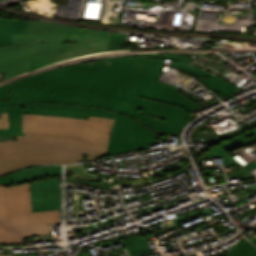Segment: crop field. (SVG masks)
<instances>
[{
	"label": "crop field",
	"mask_w": 256,
	"mask_h": 256,
	"mask_svg": "<svg viewBox=\"0 0 256 256\" xmlns=\"http://www.w3.org/2000/svg\"><path fill=\"white\" fill-rule=\"evenodd\" d=\"M13 82L0 87V100H7L8 99V95L10 93Z\"/></svg>",
	"instance_id": "crop-field-15"
},
{
	"label": "crop field",
	"mask_w": 256,
	"mask_h": 256,
	"mask_svg": "<svg viewBox=\"0 0 256 256\" xmlns=\"http://www.w3.org/2000/svg\"><path fill=\"white\" fill-rule=\"evenodd\" d=\"M33 212L59 209V177L31 181Z\"/></svg>",
	"instance_id": "crop-field-7"
},
{
	"label": "crop field",
	"mask_w": 256,
	"mask_h": 256,
	"mask_svg": "<svg viewBox=\"0 0 256 256\" xmlns=\"http://www.w3.org/2000/svg\"><path fill=\"white\" fill-rule=\"evenodd\" d=\"M29 22L0 19V45L12 44V34H23Z\"/></svg>",
	"instance_id": "crop-field-9"
},
{
	"label": "crop field",
	"mask_w": 256,
	"mask_h": 256,
	"mask_svg": "<svg viewBox=\"0 0 256 256\" xmlns=\"http://www.w3.org/2000/svg\"><path fill=\"white\" fill-rule=\"evenodd\" d=\"M124 35L125 34L113 32L108 50H120L122 47Z\"/></svg>",
	"instance_id": "crop-field-14"
},
{
	"label": "crop field",
	"mask_w": 256,
	"mask_h": 256,
	"mask_svg": "<svg viewBox=\"0 0 256 256\" xmlns=\"http://www.w3.org/2000/svg\"><path fill=\"white\" fill-rule=\"evenodd\" d=\"M112 32L71 27L63 51L32 55L30 71L71 57L107 51Z\"/></svg>",
	"instance_id": "crop-field-5"
},
{
	"label": "crop field",
	"mask_w": 256,
	"mask_h": 256,
	"mask_svg": "<svg viewBox=\"0 0 256 256\" xmlns=\"http://www.w3.org/2000/svg\"><path fill=\"white\" fill-rule=\"evenodd\" d=\"M159 55L101 59L16 80L8 101H0V116L8 112L10 121L0 136L25 135L21 113L110 117L107 154L149 148L155 131L179 132L202 106L158 81L164 62Z\"/></svg>",
	"instance_id": "crop-field-1"
},
{
	"label": "crop field",
	"mask_w": 256,
	"mask_h": 256,
	"mask_svg": "<svg viewBox=\"0 0 256 256\" xmlns=\"http://www.w3.org/2000/svg\"><path fill=\"white\" fill-rule=\"evenodd\" d=\"M113 120L22 114L17 141L0 142V174L23 165L71 163L106 155Z\"/></svg>",
	"instance_id": "crop-field-2"
},
{
	"label": "crop field",
	"mask_w": 256,
	"mask_h": 256,
	"mask_svg": "<svg viewBox=\"0 0 256 256\" xmlns=\"http://www.w3.org/2000/svg\"><path fill=\"white\" fill-rule=\"evenodd\" d=\"M81 254H82V256H88L87 252H83Z\"/></svg>",
	"instance_id": "crop-field-19"
},
{
	"label": "crop field",
	"mask_w": 256,
	"mask_h": 256,
	"mask_svg": "<svg viewBox=\"0 0 256 256\" xmlns=\"http://www.w3.org/2000/svg\"><path fill=\"white\" fill-rule=\"evenodd\" d=\"M251 242H253V243L256 245V239H255V240H253V241H251Z\"/></svg>",
	"instance_id": "crop-field-20"
},
{
	"label": "crop field",
	"mask_w": 256,
	"mask_h": 256,
	"mask_svg": "<svg viewBox=\"0 0 256 256\" xmlns=\"http://www.w3.org/2000/svg\"><path fill=\"white\" fill-rule=\"evenodd\" d=\"M71 26L31 21L24 35H13V45L0 46V73L5 77L25 73L34 53L62 50Z\"/></svg>",
	"instance_id": "crop-field-4"
},
{
	"label": "crop field",
	"mask_w": 256,
	"mask_h": 256,
	"mask_svg": "<svg viewBox=\"0 0 256 256\" xmlns=\"http://www.w3.org/2000/svg\"><path fill=\"white\" fill-rule=\"evenodd\" d=\"M240 248L234 252L235 256H256V247L251 245L247 240L239 243Z\"/></svg>",
	"instance_id": "crop-field-13"
},
{
	"label": "crop field",
	"mask_w": 256,
	"mask_h": 256,
	"mask_svg": "<svg viewBox=\"0 0 256 256\" xmlns=\"http://www.w3.org/2000/svg\"><path fill=\"white\" fill-rule=\"evenodd\" d=\"M192 56L193 54H161L160 59L176 60V62L171 63L170 67L188 71L198 76L196 79L207 85L209 88L215 90L223 96L228 95L230 98L235 99L231 93L238 90L239 88L230 84L221 77L210 74L198 67L188 65L187 63Z\"/></svg>",
	"instance_id": "crop-field-6"
},
{
	"label": "crop field",
	"mask_w": 256,
	"mask_h": 256,
	"mask_svg": "<svg viewBox=\"0 0 256 256\" xmlns=\"http://www.w3.org/2000/svg\"><path fill=\"white\" fill-rule=\"evenodd\" d=\"M62 176V169L60 166H50V177Z\"/></svg>",
	"instance_id": "crop-field-17"
},
{
	"label": "crop field",
	"mask_w": 256,
	"mask_h": 256,
	"mask_svg": "<svg viewBox=\"0 0 256 256\" xmlns=\"http://www.w3.org/2000/svg\"><path fill=\"white\" fill-rule=\"evenodd\" d=\"M256 143V128L241 135L233 137L225 142L219 143L228 152L242 146Z\"/></svg>",
	"instance_id": "crop-field-10"
},
{
	"label": "crop field",
	"mask_w": 256,
	"mask_h": 256,
	"mask_svg": "<svg viewBox=\"0 0 256 256\" xmlns=\"http://www.w3.org/2000/svg\"><path fill=\"white\" fill-rule=\"evenodd\" d=\"M239 174H241L243 180H249V179L255 178V176L248 169L237 171V173H233V174H227V176L233 177V176H237Z\"/></svg>",
	"instance_id": "crop-field-16"
},
{
	"label": "crop field",
	"mask_w": 256,
	"mask_h": 256,
	"mask_svg": "<svg viewBox=\"0 0 256 256\" xmlns=\"http://www.w3.org/2000/svg\"><path fill=\"white\" fill-rule=\"evenodd\" d=\"M0 256H13V255H0Z\"/></svg>",
	"instance_id": "crop-field-21"
},
{
	"label": "crop field",
	"mask_w": 256,
	"mask_h": 256,
	"mask_svg": "<svg viewBox=\"0 0 256 256\" xmlns=\"http://www.w3.org/2000/svg\"><path fill=\"white\" fill-rule=\"evenodd\" d=\"M60 223L59 210L32 213L29 182L0 185V245H23V238L51 234Z\"/></svg>",
	"instance_id": "crop-field-3"
},
{
	"label": "crop field",
	"mask_w": 256,
	"mask_h": 256,
	"mask_svg": "<svg viewBox=\"0 0 256 256\" xmlns=\"http://www.w3.org/2000/svg\"><path fill=\"white\" fill-rule=\"evenodd\" d=\"M243 132L245 131L239 128L221 135H219L217 132H200V133H197V136L199 140L203 138L206 143L213 146L219 142L225 141Z\"/></svg>",
	"instance_id": "crop-field-11"
},
{
	"label": "crop field",
	"mask_w": 256,
	"mask_h": 256,
	"mask_svg": "<svg viewBox=\"0 0 256 256\" xmlns=\"http://www.w3.org/2000/svg\"><path fill=\"white\" fill-rule=\"evenodd\" d=\"M48 177V166L27 167L0 177V184L13 185Z\"/></svg>",
	"instance_id": "crop-field-8"
},
{
	"label": "crop field",
	"mask_w": 256,
	"mask_h": 256,
	"mask_svg": "<svg viewBox=\"0 0 256 256\" xmlns=\"http://www.w3.org/2000/svg\"><path fill=\"white\" fill-rule=\"evenodd\" d=\"M135 237L136 238L122 240L131 256L140 254L142 252L145 253L144 251L150 250V247L144 237H141L140 235ZM134 247H136V249H134Z\"/></svg>",
	"instance_id": "crop-field-12"
},
{
	"label": "crop field",
	"mask_w": 256,
	"mask_h": 256,
	"mask_svg": "<svg viewBox=\"0 0 256 256\" xmlns=\"http://www.w3.org/2000/svg\"><path fill=\"white\" fill-rule=\"evenodd\" d=\"M2 128H9V122H8V114L2 113V117L0 119V129Z\"/></svg>",
	"instance_id": "crop-field-18"
}]
</instances>
